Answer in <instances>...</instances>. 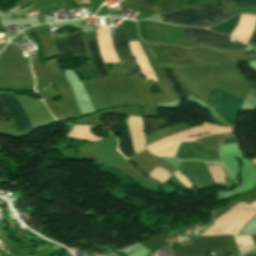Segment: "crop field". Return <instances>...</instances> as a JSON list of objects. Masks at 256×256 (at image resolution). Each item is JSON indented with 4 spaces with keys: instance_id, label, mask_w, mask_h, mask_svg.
I'll list each match as a JSON object with an SVG mask.
<instances>
[{
    "instance_id": "obj_1",
    "label": "crop field",
    "mask_w": 256,
    "mask_h": 256,
    "mask_svg": "<svg viewBox=\"0 0 256 256\" xmlns=\"http://www.w3.org/2000/svg\"><path fill=\"white\" fill-rule=\"evenodd\" d=\"M222 9L218 6V4L211 5V4H202L190 9L174 11L168 14H160L162 21L165 23L176 24V25H183L203 19H207L213 17L215 15L221 14ZM236 14H221L216 17H213L215 22L211 23L209 19L187 24L184 26H198V27H205L216 25L225 21L226 19L234 16Z\"/></svg>"
},
{
    "instance_id": "obj_2",
    "label": "crop field",
    "mask_w": 256,
    "mask_h": 256,
    "mask_svg": "<svg viewBox=\"0 0 256 256\" xmlns=\"http://www.w3.org/2000/svg\"><path fill=\"white\" fill-rule=\"evenodd\" d=\"M113 41L115 50L121 60L123 71L126 76L139 73V70L135 64L132 56L124 28H116L113 31Z\"/></svg>"
},
{
    "instance_id": "obj_3",
    "label": "crop field",
    "mask_w": 256,
    "mask_h": 256,
    "mask_svg": "<svg viewBox=\"0 0 256 256\" xmlns=\"http://www.w3.org/2000/svg\"><path fill=\"white\" fill-rule=\"evenodd\" d=\"M0 102L4 106L7 113L11 116L18 131L31 130L25 113L18 105L19 103L17 104L12 94L0 93ZM1 103H0V115L3 116V115H6L7 113L4 110Z\"/></svg>"
},
{
    "instance_id": "obj_4",
    "label": "crop field",
    "mask_w": 256,
    "mask_h": 256,
    "mask_svg": "<svg viewBox=\"0 0 256 256\" xmlns=\"http://www.w3.org/2000/svg\"><path fill=\"white\" fill-rule=\"evenodd\" d=\"M155 59L172 58L174 63H191L195 62L191 50L184 47L168 46V45H149Z\"/></svg>"
},
{
    "instance_id": "obj_5",
    "label": "crop field",
    "mask_w": 256,
    "mask_h": 256,
    "mask_svg": "<svg viewBox=\"0 0 256 256\" xmlns=\"http://www.w3.org/2000/svg\"><path fill=\"white\" fill-rule=\"evenodd\" d=\"M187 41L197 42V41H224L227 42L228 36L203 29V28H188L181 27Z\"/></svg>"
},
{
    "instance_id": "obj_6",
    "label": "crop field",
    "mask_w": 256,
    "mask_h": 256,
    "mask_svg": "<svg viewBox=\"0 0 256 256\" xmlns=\"http://www.w3.org/2000/svg\"><path fill=\"white\" fill-rule=\"evenodd\" d=\"M111 129L112 130L110 132H112L114 134L121 133V135H122L119 138V150L122 152V154L128 158L133 156L134 153H133L126 121L122 122V123H119V122L115 123L111 127Z\"/></svg>"
},
{
    "instance_id": "obj_7",
    "label": "crop field",
    "mask_w": 256,
    "mask_h": 256,
    "mask_svg": "<svg viewBox=\"0 0 256 256\" xmlns=\"http://www.w3.org/2000/svg\"><path fill=\"white\" fill-rule=\"evenodd\" d=\"M87 42H88V46H89L92 58L94 60L98 75H99V78L101 79V78L107 76L108 73L104 66L99 49L97 47V43H96V41H87Z\"/></svg>"
},
{
    "instance_id": "obj_8",
    "label": "crop field",
    "mask_w": 256,
    "mask_h": 256,
    "mask_svg": "<svg viewBox=\"0 0 256 256\" xmlns=\"http://www.w3.org/2000/svg\"><path fill=\"white\" fill-rule=\"evenodd\" d=\"M71 49L74 55L85 56V51L80 33L69 34Z\"/></svg>"
},
{
    "instance_id": "obj_9",
    "label": "crop field",
    "mask_w": 256,
    "mask_h": 256,
    "mask_svg": "<svg viewBox=\"0 0 256 256\" xmlns=\"http://www.w3.org/2000/svg\"><path fill=\"white\" fill-rule=\"evenodd\" d=\"M53 37H54L59 55L71 52L67 34L53 35Z\"/></svg>"
},
{
    "instance_id": "obj_10",
    "label": "crop field",
    "mask_w": 256,
    "mask_h": 256,
    "mask_svg": "<svg viewBox=\"0 0 256 256\" xmlns=\"http://www.w3.org/2000/svg\"><path fill=\"white\" fill-rule=\"evenodd\" d=\"M164 125H166L165 121H158L154 119L144 118V130H145L146 137L152 132L160 129Z\"/></svg>"
},
{
    "instance_id": "obj_11",
    "label": "crop field",
    "mask_w": 256,
    "mask_h": 256,
    "mask_svg": "<svg viewBox=\"0 0 256 256\" xmlns=\"http://www.w3.org/2000/svg\"><path fill=\"white\" fill-rule=\"evenodd\" d=\"M241 108L255 109L256 108V91L248 88Z\"/></svg>"
},
{
    "instance_id": "obj_12",
    "label": "crop field",
    "mask_w": 256,
    "mask_h": 256,
    "mask_svg": "<svg viewBox=\"0 0 256 256\" xmlns=\"http://www.w3.org/2000/svg\"><path fill=\"white\" fill-rule=\"evenodd\" d=\"M165 77L169 80L173 89L175 90L176 94L178 95V97L180 99L189 96L188 94H186L183 91L181 85L179 84V82L177 81V79L175 78V76L173 74H165Z\"/></svg>"
},
{
    "instance_id": "obj_13",
    "label": "crop field",
    "mask_w": 256,
    "mask_h": 256,
    "mask_svg": "<svg viewBox=\"0 0 256 256\" xmlns=\"http://www.w3.org/2000/svg\"><path fill=\"white\" fill-rule=\"evenodd\" d=\"M221 89H214L210 91L207 105L210 109H212L214 112H216L217 105L220 98Z\"/></svg>"
},
{
    "instance_id": "obj_14",
    "label": "crop field",
    "mask_w": 256,
    "mask_h": 256,
    "mask_svg": "<svg viewBox=\"0 0 256 256\" xmlns=\"http://www.w3.org/2000/svg\"><path fill=\"white\" fill-rule=\"evenodd\" d=\"M201 43L210 45L218 49H240V48L249 47L241 43H232V44H224V42H201Z\"/></svg>"
},
{
    "instance_id": "obj_15",
    "label": "crop field",
    "mask_w": 256,
    "mask_h": 256,
    "mask_svg": "<svg viewBox=\"0 0 256 256\" xmlns=\"http://www.w3.org/2000/svg\"><path fill=\"white\" fill-rule=\"evenodd\" d=\"M239 16L240 15L234 16L233 18L223 22L219 32L230 35L232 28L238 24Z\"/></svg>"
},
{
    "instance_id": "obj_16",
    "label": "crop field",
    "mask_w": 256,
    "mask_h": 256,
    "mask_svg": "<svg viewBox=\"0 0 256 256\" xmlns=\"http://www.w3.org/2000/svg\"><path fill=\"white\" fill-rule=\"evenodd\" d=\"M155 61L159 65V67L162 69L163 73H172L171 71L177 69L172 59H162V60H155Z\"/></svg>"
},
{
    "instance_id": "obj_17",
    "label": "crop field",
    "mask_w": 256,
    "mask_h": 256,
    "mask_svg": "<svg viewBox=\"0 0 256 256\" xmlns=\"http://www.w3.org/2000/svg\"><path fill=\"white\" fill-rule=\"evenodd\" d=\"M177 169L181 170L195 187L202 186L201 183L197 180L196 176L193 175L183 163L179 162V167Z\"/></svg>"
},
{
    "instance_id": "obj_18",
    "label": "crop field",
    "mask_w": 256,
    "mask_h": 256,
    "mask_svg": "<svg viewBox=\"0 0 256 256\" xmlns=\"http://www.w3.org/2000/svg\"><path fill=\"white\" fill-rule=\"evenodd\" d=\"M58 0H18V4L21 7V9L34 4V6L42 5L50 2H54Z\"/></svg>"
},
{
    "instance_id": "obj_19",
    "label": "crop field",
    "mask_w": 256,
    "mask_h": 256,
    "mask_svg": "<svg viewBox=\"0 0 256 256\" xmlns=\"http://www.w3.org/2000/svg\"><path fill=\"white\" fill-rule=\"evenodd\" d=\"M223 3V10H230V9H236L235 7V4H234V1H231V0H222Z\"/></svg>"
},
{
    "instance_id": "obj_20",
    "label": "crop field",
    "mask_w": 256,
    "mask_h": 256,
    "mask_svg": "<svg viewBox=\"0 0 256 256\" xmlns=\"http://www.w3.org/2000/svg\"><path fill=\"white\" fill-rule=\"evenodd\" d=\"M249 5H256V0H248Z\"/></svg>"
},
{
    "instance_id": "obj_21",
    "label": "crop field",
    "mask_w": 256,
    "mask_h": 256,
    "mask_svg": "<svg viewBox=\"0 0 256 256\" xmlns=\"http://www.w3.org/2000/svg\"><path fill=\"white\" fill-rule=\"evenodd\" d=\"M82 1H83V3H89L88 0H82ZM77 4H81V3H77Z\"/></svg>"
}]
</instances>
